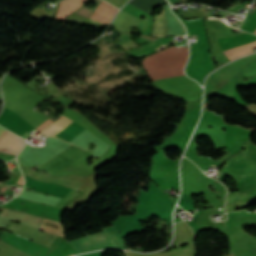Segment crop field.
<instances>
[{
  "label": "crop field",
  "instance_id": "1",
  "mask_svg": "<svg viewBox=\"0 0 256 256\" xmlns=\"http://www.w3.org/2000/svg\"><path fill=\"white\" fill-rule=\"evenodd\" d=\"M62 116L41 133L46 136H56L59 132H61L67 125L72 122ZM0 125L20 135L23 138L33 130V127L26 120L6 108H4L2 114L0 115ZM83 129L84 128L72 122L56 137L70 142Z\"/></svg>",
  "mask_w": 256,
  "mask_h": 256
},
{
  "label": "crop field",
  "instance_id": "2",
  "mask_svg": "<svg viewBox=\"0 0 256 256\" xmlns=\"http://www.w3.org/2000/svg\"><path fill=\"white\" fill-rule=\"evenodd\" d=\"M4 131L5 129L0 127V136ZM7 132L8 131L6 130L3 133V135L0 137V140ZM25 143V140L8 132L5 137L0 141V152L16 156L21 148L25 145Z\"/></svg>",
  "mask_w": 256,
  "mask_h": 256
},
{
  "label": "crop field",
  "instance_id": "3",
  "mask_svg": "<svg viewBox=\"0 0 256 256\" xmlns=\"http://www.w3.org/2000/svg\"><path fill=\"white\" fill-rule=\"evenodd\" d=\"M97 2V4L99 5L103 0H95ZM105 2V1H104ZM106 3V2H105ZM105 3H101L100 6L91 8V9H87V8H80L78 11H76L77 13H80L84 16H90L91 13L93 12V14L90 16L93 19L98 20L100 18V16L107 10V8L109 7V5L105 4ZM118 10L112 8L111 6L108 8V10L101 16V18L99 19V21L103 22V23H110L111 19L113 18L114 14L117 12Z\"/></svg>",
  "mask_w": 256,
  "mask_h": 256
},
{
  "label": "crop field",
  "instance_id": "4",
  "mask_svg": "<svg viewBox=\"0 0 256 256\" xmlns=\"http://www.w3.org/2000/svg\"><path fill=\"white\" fill-rule=\"evenodd\" d=\"M26 178V185L35 188L33 191L44 192L48 194H53L58 197H64L70 188L60 186L56 183H44L38 182L32 178L24 176Z\"/></svg>",
  "mask_w": 256,
  "mask_h": 256
},
{
  "label": "crop field",
  "instance_id": "5",
  "mask_svg": "<svg viewBox=\"0 0 256 256\" xmlns=\"http://www.w3.org/2000/svg\"><path fill=\"white\" fill-rule=\"evenodd\" d=\"M253 47H256V38L240 45L224 49L223 51L228 60H231L252 52L251 48Z\"/></svg>",
  "mask_w": 256,
  "mask_h": 256
},
{
  "label": "crop field",
  "instance_id": "6",
  "mask_svg": "<svg viewBox=\"0 0 256 256\" xmlns=\"http://www.w3.org/2000/svg\"><path fill=\"white\" fill-rule=\"evenodd\" d=\"M85 0H64L60 3L59 11L55 17L57 20H65V16L83 6Z\"/></svg>",
  "mask_w": 256,
  "mask_h": 256
},
{
  "label": "crop field",
  "instance_id": "7",
  "mask_svg": "<svg viewBox=\"0 0 256 256\" xmlns=\"http://www.w3.org/2000/svg\"><path fill=\"white\" fill-rule=\"evenodd\" d=\"M152 36L165 37L166 36V15L164 11L160 16H154V27Z\"/></svg>",
  "mask_w": 256,
  "mask_h": 256
},
{
  "label": "crop field",
  "instance_id": "8",
  "mask_svg": "<svg viewBox=\"0 0 256 256\" xmlns=\"http://www.w3.org/2000/svg\"><path fill=\"white\" fill-rule=\"evenodd\" d=\"M141 37H142V38H146V39H150V40H155V39H156V38L146 37V36H142V35H141ZM142 38L136 39V43L141 44V43H145V42H149V41H150V40H146V39H142ZM170 38H172V37H170ZM170 38H160V39H158V40L164 45V44H166L167 42H169L170 40H172V39H170ZM159 41H158V42H159ZM173 41H174V40L170 41L169 43H171V42H173ZM169 43H167L165 46H168Z\"/></svg>",
  "mask_w": 256,
  "mask_h": 256
},
{
  "label": "crop field",
  "instance_id": "9",
  "mask_svg": "<svg viewBox=\"0 0 256 256\" xmlns=\"http://www.w3.org/2000/svg\"><path fill=\"white\" fill-rule=\"evenodd\" d=\"M22 171H23V173H24L25 175L31 176V177H33V178H35V179H37V177H38V175H35V174H32V173H29V172L24 171V170H22Z\"/></svg>",
  "mask_w": 256,
  "mask_h": 256
},
{
  "label": "crop field",
  "instance_id": "10",
  "mask_svg": "<svg viewBox=\"0 0 256 256\" xmlns=\"http://www.w3.org/2000/svg\"><path fill=\"white\" fill-rule=\"evenodd\" d=\"M13 172H15V168L13 169Z\"/></svg>",
  "mask_w": 256,
  "mask_h": 256
},
{
  "label": "crop field",
  "instance_id": "11",
  "mask_svg": "<svg viewBox=\"0 0 256 256\" xmlns=\"http://www.w3.org/2000/svg\"><path fill=\"white\" fill-rule=\"evenodd\" d=\"M254 33L256 34V31Z\"/></svg>",
  "mask_w": 256,
  "mask_h": 256
},
{
  "label": "crop field",
  "instance_id": "12",
  "mask_svg": "<svg viewBox=\"0 0 256 256\" xmlns=\"http://www.w3.org/2000/svg\"><path fill=\"white\" fill-rule=\"evenodd\" d=\"M73 255H75V254H73ZM70 256H72V255H70Z\"/></svg>",
  "mask_w": 256,
  "mask_h": 256
}]
</instances>
